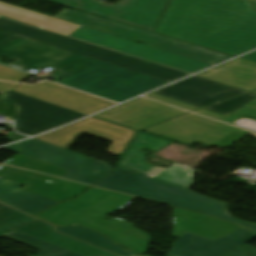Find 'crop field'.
Wrapping results in <instances>:
<instances>
[{"label":"crop field","mask_w":256,"mask_h":256,"mask_svg":"<svg viewBox=\"0 0 256 256\" xmlns=\"http://www.w3.org/2000/svg\"><path fill=\"white\" fill-rule=\"evenodd\" d=\"M0 15L69 36L79 25L0 2Z\"/></svg>","instance_id":"a9b5d70f"},{"label":"crop field","mask_w":256,"mask_h":256,"mask_svg":"<svg viewBox=\"0 0 256 256\" xmlns=\"http://www.w3.org/2000/svg\"><path fill=\"white\" fill-rule=\"evenodd\" d=\"M171 142L172 141L138 132L118 167L189 189L194 185L193 174L195 170L177 164L169 168L153 166L146 162V153L141 151L142 149L148 148L157 152Z\"/></svg>","instance_id":"5a996713"},{"label":"crop field","mask_w":256,"mask_h":256,"mask_svg":"<svg viewBox=\"0 0 256 256\" xmlns=\"http://www.w3.org/2000/svg\"><path fill=\"white\" fill-rule=\"evenodd\" d=\"M252 93H255V94H256V91H255V92H252Z\"/></svg>","instance_id":"c035e120"},{"label":"crop field","mask_w":256,"mask_h":256,"mask_svg":"<svg viewBox=\"0 0 256 256\" xmlns=\"http://www.w3.org/2000/svg\"><path fill=\"white\" fill-rule=\"evenodd\" d=\"M241 58H244V59H247V60H251V61L256 62V51L253 52V53H250V54H248V55H246V56H243V57H241Z\"/></svg>","instance_id":"028f5c9d"},{"label":"crop field","mask_w":256,"mask_h":256,"mask_svg":"<svg viewBox=\"0 0 256 256\" xmlns=\"http://www.w3.org/2000/svg\"><path fill=\"white\" fill-rule=\"evenodd\" d=\"M80 130L114 141L109 147L108 152L115 155H120L125 151L135 134V131L89 117L76 124L34 139L67 149Z\"/></svg>","instance_id":"cbeb9de0"},{"label":"crop field","mask_w":256,"mask_h":256,"mask_svg":"<svg viewBox=\"0 0 256 256\" xmlns=\"http://www.w3.org/2000/svg\"><path fill=\"white\" fill-rule=\"evenodd\" d=\"M70 37L88 41L124 53H128L158 64L174 67L190 73L210 65L180 57L152 47L120 39L105 33L81 26Z\"/></svg>","instance_id":"d1516ede"},{"label":"crop field","mask_w":256,"mask_h":256,"mask_svg":"<svg viewBox=\"0 0 256 256\" xmlns=\"http://www.w3.org/2000/svg\"><path fill=\"white\" fill-rule=\"evenodd\" d=\"M237 128L191 113L153 126L145 131L185 143L193 141L211 145Z\"/></svg>","instance_id":"22f410ed"},{"label":"crop field","mask_w":256,"mask_h":256,"mask_svg":"<svg viewBox=\"0 0 256 256\" xmlns=\"http://www.w3.org/2000/svg\"><path fill=\"white\" fill-rule=\"evenodd\" d=\"M19 184L0 178V199L36 214L58 203L51 199L19 188Z\"/></svg>","instance_id":"00972430"},{"label":"crop field","mask_w":256,"mask_h":256,"mask_svg":"<svg viewBox=\"0 0 256 256\" xmlns=\"http://www.w3.org/2000/svg\"><path fill=\"white\" fill-rule=\"evenodd\" d=\"M55 18L93 28L127 40L140 41L146 45L210 65L231 57L184 42L169 39L131 26L99 18L77 10L71 11L65 9Z\"/></svg>","instance_id":"dd49c442"},{"label":"crop field","mask_w":256,"mask_h":256,"mask_svg":"<svg viewBox=\"0 0 256 256\" xmlns=\"http://www.w3.org/2000/svg\"><path fill=\"white\" fill-rule=\"evenodd\" d=\"M7 56L18 60L16 63L27 71L33 67H50L63 78L100 61L33 41L0 30V58Z\"/></svg>","instance_id":"e52e79f7"},{"label":"crop field","mask_w":256,"mask_h":256,"mask_svg":"<svg viewBox=\"0 0 256 256\" xmlns=\"http://www.w3.org/2000/svg\"><path fill=\"white\" fill-rule=\"evenodd\" d=\"M96 186L148 198L169 205L213 215L239 223L256 231V224L234 219L227 212V204L201 194L179 188L147 176L117 168L116 171Z\"/></svg>","instance_id":"34b2d1b8"},{"label":"crop field","mask_w":256,"mask_h":256,"mask_svg":"<svg viewBox=\"0 0 256 256\" xmlns=\"http://www.w3.org/2000/svg\"><path fill=\"white\" fill-rule=\"evenodd\" d=\"M223 256H256V248L249 245H244L238 249H235Z\"/></svg>","instance_id":"120bbe31"},{"label":"crop field","mask_w":256,"mask_h":256,"mask_svg":"<svg viewBox=\"0 0 256 256\" xmlns=\"http://www.w3.org/2000/svg\"><path fill=\"white\" fill-rule=\"evenodd\" d=\"M255 97L256 95L248 93L204 109L215 111L228 116Z\"/></svg>","instance_id":"d3111659"},{"label":"crop field","mask_w":256,"mask_h":256,"mask_svg":"<svg viewBox=\"0 0 256 256\" xmlns=\"http://www.w3.org/2000/svg\"><path fill=\"white\" fill-rule=\"evenodd\" d=\"M21 233L60 246L84 256H92L100 253L105 256H116L101 249L79 242L72 238L54 232V227L42 221L31 223L22 227L15 228Z\"/></svg>","instance_id":"dafd665d"},{"label":"crop field","mask_w":256,"mask_h":256,"mask_svg":"<svg viewBox=\"0 0 256 256\" xmlns=\"http://www.w3.org/2000/svg\"><path fill=\"white\" fill-rule=\"evenodd\" d=\"M184 113L188 112L139 98L95 116L140 129Z\"/></svg>","instance_id":"5142ce71"},{"label":"crop field","mask_w":256,"mask_h":256,"mask_svg":"<svg viewBox=\"0 0 256 256\" xmlns=\"http://www.w3.org/2000/svg\"><path fill=\"white\" fill-rule=\"evenodd\" d=\"M154 93L203 107L247 92L193 76Z\"/></svg>","instance_id":"733c2abd"},{"label":"crop field","mask_w":256,"mask_h":256,"mask_svg":"<svg viewBox=\"0 0 256 256\" xmlns=\"http://www.w3.org/2000/svg\"><path fill=\"white\" fill-rule=\"evenodd\" d=\"M95 256H102V255H100V254H97V255H95Z\"/></svg>","instance_id":"b80d0937"},{"label":"crop field","mask_w":256,"mask_h":256,"mask_svg":"<svg viewBox=\"0 0 256 256\" xmlns=\"http://www.w3.org/2000/svg\"><path fill=\"white\" fill-rule=\"evenodd\" d=\"M244 113L256 116V98L221 121L230 123Z\"/></svg>","instance_id":"bd1437ed"},{"label":"crop field","mask_w":256,"mask_h":256,"mask_svg":"<svg viewBox=\"0 0 256 256\" xmlns=\"http://www.w3.org/2000/svg\"><path fill=\"white\" fill-rule=\"evenodd\" d=\"M16 85L17 84H15V83H7V82L0 81V93H3L5 91H7L8 89L11 90Z\"/></svg>","instance_id":"5866460e"},{"label":"crop field","mask_w":256,"mask_h":256,"mask_svg":"<svg viewBox=\"0 0 256 256\" xmlns=\"http://www.w3.org/2000/svg\"><path fill=\"white\" fill-rule=\"evenodd\" d=\"M155 32L238 56L256 48L249 0H171Z\"/></svg>","instance_id":"8a807250"},{"label":"crop field","mask_w":256,"mask_h":256,"mask_svg":"<svg viewBox=\"0 0 256 256\" xmlns=\"http://www.w3.org/2000/svg\"><path fill=\"white\" fill-rule=\"evenodd\" d=\"M256 234L242 228L215 242L185 233L178 238L167 256H220L245 243Z\"/></svg>","instance_id":"bc2a9ffb"},{"label":"crop field","mask_w":256,"mask_h":256,"mask_svg":"<svg viewBox=\"0 0 256 256\" xmlns=\"http://www.w3.org/2000/svg\"><path fill=\"white\" fill-rule=\"evenodd\" d=\"M253 3H254V5H255V7H256V1H253Z\"/></svg>","instance_id":"0bd39190"},{"label":"crop field","mask_w":256,"mask_h":256,"mask_svg":"<svg viewBox=\"0 0 256 256\" xmlns=\"http://www.w3.org/2000/svg\"><path fill=\"white\" fill-rule=\"evenodd\" d=\"M247 92L256 90V63L241 58L196 75Z\"/></svg>","instance_id":"92a150f3"},{"label":"crop field","mask_w":256,"mask_h":256,"mask_svg":"<svg viewBox=\"0 0 256 256\" xmlns=\"http://www.w3.org/2000/svg\"><path fill=\"white\" fill-rule=\"evenodd\" d=\"M4 164H10V165H14L17 167H21V168H25V169L53 175V176H59V177H62L67 172H69L67 170L59 169V168L38 162L36 160L30 159V158H27V157H24V156H21L18 154L13 156L11 159H9Z\"/></svg>","instance_id":"ae1a2a85"},{"label":"crop field","mask_w":256,"mask_h":256,"mask_svg":"<svg viewBox=\"0 0 256 256\" xmlns=\"http://www.w3.org/2000/svg\"><path fill=\"white\" fill-rule=\"evenodd\" d=\"M5 237L42 251L36 256H82V255L73 253L71 251L62 249L60 247L48 244L46 242L37 240L35 238L26 236L19 232L5 236Z\"/></svg>","instance_id":"eef30255"},{"label":"crop field","mask_w":256,"mask_h":256,"mask_svg":"<svg viewBox=\"0 0 256 256\" xmlns=\"http://www.w3.org/2000/svg\"><path fill=\"white\" fill-rule=\"evenodd\" d=\"M14 90L87 115L116 104L50 82L38 85L19 84Z\"/></svg>","instance_id":"d9b57169"},{"label":"crop field","mask_w":256,"mask_h":256,"mask_svg":"<svg viewBox=\"0 0 256 256\" xmlns=\"http://www.w3.org/2000/svg\"><path fill=\"white\" fill-rule=\"evenodd\" d=\"M38 221L0 203V237L17 232L13 228Z\"/></svg>","instance_id":"730fd06b"},{"label":"crop field","mask_w":256,"mask_h":256,"mask_svg":"<svg viewBox=\"0 0 256 256\" xmlns=\"http://www.w3.org/2000/svg\"><path fill=\"white\" fill-rule=\"evenodd\" d=\"M4 148L56 167L68 169L70 172L63 178L90 185L95 184L112 171V168L105 166L102 161L34 139Z\"/></svg>","instance_id":"d8731c3e"},{"label":"crop field","mask_w":256,"mask_h":256,"mask_svg":"<svg viewBox=\"0 0 256 256\" xmlns=\"http://www.w3.org/2000/svg\"><path fill=\"white\" fill-rule=\"evenodd\" d=\"M0 177L22 184L23 188L58 202L75 197L89 187L9 166H0Z\"/></svg>","instance_id":"4a817a6b"},{"label":"crop field","mask_w":256,"mask_h":256,"mask_svg":"<svg viewBox=\"0 0 256 256\" xmlns=\"http://www.w3.org/2000/svg\"><path fill=\"white\" fill-rule=\"evenodd\" d=\"M30 75L1 66L0 65V80L20 82Z\"/></svg>","instance_id":"750c4746"},{"label":"crop field","mask_w":256,"mask_h":256,"mask_svg":"<svg viewBox=\"0 0 256 256\" xmlns=\"http://www.w3.org/2000/svg\"><path fill=\"white\" fill-rule=\"evenodd\" d=\"M153 31L168 0H122L114 7L97 0H48Z\"/></svg>","instance_id":"28ad6ade"},{"label":"crop field","mask_w":256,"mask_h":256,"mask_svg":"<svg viewBox=\"0 0 256 256\" xmlns=\"http://www.w3.org/2000/svg\"><path fill=\"white\" fill-rule=\"evenodd\" d=\"M132 256H144V255H138V254H134V255H132Z\"/></svg>","instance_id":"e1f06a70"},{"label":"crop field","mask_w":256,"mask_h":256,"mask_svg":"<svg viewBox=\"0 0 256 256\" xmlns=\"http://www.w3.org/2000/svg\"><path fill=\"white\" fill-rule=\"evenodd\" d=\"M0 29L18 34L33 40H37L52 46H56L71 52H75L90 58L108 62L123 68H127L151 77L167 82L184 76L188 73L160 66L88 43H84L63 35L32 28L4 17H0Z\"/></svg>","instance_id":"412701ff"},{"label":"crop field","mask_w":256,"mask_h":256,"mask_svg":"<svg viewBox=\"0 0 256 256\" xmlns=\"http://www.w3.org/2000/svg\"><path fill=\"white\" fill-rule=\"evenodd\" d=\"M173 237L189 232L209 240H216L242 227L189 211L173 209Z\"/></svg>","instance_id":"214f88e0"},{"label":"crop field","mask_w":256,"mask_h":256,"mask_svg":"<svg viewBox=\"0 0 256 256\" xmlns=\"http://www.w3.org/2000/svg\"><path fill=\"white\" fill-rule=\"evenodd\" d=\"M132 199L133 197L92 187L78 198L37 216L57 226L80 224L98 230L136 253H145L150 242L149 235L129 222L103 217L104 214L114 213L125 207Z\"/></svg>","instance_id":"ac0d7876"},{"label":"crop field","mask_w":256,"mask_h":256,"mask_svg":"<svg viewBox=\"0 0 256 256\" xmlns=\"http://www.w3.org/2000/svg\"><path fill=\"white\" fill-rule=\"evenodd\" d=\"M7 105H17L18 128L15 131L29 136L48 131L85 115L13 92L1 97Z\"/></svg>","instance_id":"3316defc"},{"label":"crop field","mask_w":256,"mask_h":256,"mask_svg":"<svg viewBox=\"0 0 256 256\" xmlns=\"http://www.w3.org/2000/svg\"><path fill=\"white\" fill-rule=\"evenodd\" d=\"M88 229V228H87ZM81 226H74L68 228H57V231L66 233L73 237L79 238L86 242H89L98 247L104 248L106 250L112 251L114 253L120 254L122 256H128L132 254L130 251L125 248L111 242L109 239L104 237L103 235L87 230Z\"/></svg>","instance_id":"4177f3b9"},{"label":"crop field","mask_w":256,"mask_h":256,"mask_svg":"<svg viewBox=\"0 0 256 256\" xmlns=\"http://www.w3.org/2000/svg\"><path fill=\"white\" fill-rule=\"evenodd\" d=\"M195 112L198 113V114L209 116V117H211L213 119H217V120H221V119L226 117L225 115H221V114L214 113V112L204 110V109H201V110H198V111H195Z\"/></svg>","instance_id":"d32e631a"},{"label":"crop field","mask_w":256,"mask_h":256,"mask_svg":"<svg viewBox=\"0 0 256 256\" xmlns=\"http://www.w3.org/2000/svg\"><path fill=\"white\" fill-rule=\"evenodd\" d=\"M56 83L121 102L167 82L100 62Z\"/></svg>","instance_id":"f4fd0767"},{"label":"crop field","mask_w":256,"mask_h":256,"mask_svg":"<svg viewBox=\"0 0 256 256\" xmlns=\"http://www.w3.org/2000/svg\"><path fill=\"white\" fill-rule=\"evenodd\" d=\"M146 97L157 99V100H160V101H163V102H166V103H169V104H172V105L184 108V109H188L190 111L197 109V107H194V106H191V105L179 102V101H175V100H172V99H169V98H166V97L154 94V93H151V94L147 95Z\"/></svg>","instance_id":"1d83c4d3"}]
</instances>
